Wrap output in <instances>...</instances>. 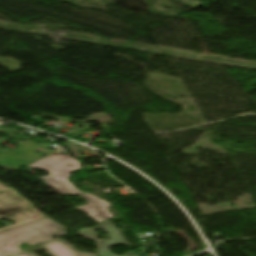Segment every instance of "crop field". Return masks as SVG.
<instances>
[{
    "label": "crop field",
    "instance_id": "f4fd0767",
    "mask_svg": "<svg viewBox=\"0 0 256 256\" xmlns=\"http://www.w3.org/2000/svg\"><path fill=\"white\" fill-rule=\"evenodd\" d=\"M32 207L15 190L0 194V218Z\"/></svg>",
    "mask_w": 256,
    "mask_h": 256
},
{
    "label": "crop field",
    "instance_id": "34b2d1b8",
    "mask_svg": "<svg viewBox=\"0 0 256 256\" xmlns=\"http://www.w3.org/2000/svg\"><path fill=\"white\" fill-rule=\"evenodd\" d=\"M99 226L100 227H98V228H102L104 231H106L108 233V237L110 238L111 241L108 240L109 242H104V241L97 240L95 238L97 235L93 232V230L98 229V228L82 229V230L78 231V233L82 236H85V237L95 241L97 243V247H98L97 253H99L101 256H116L108 250L109 247L114 244L127 245L128 243L121 236V234L116 230V228L111 224L110 221H105L103 223H100ZM124 256H137V255L129 252Z\"/></svg>",
    "mask_w": 256,
    "mask_h": 256
},
{
    "label": "crop field",
    "instance_id": "d8731c3e",
    "mask_svg": "<svg viewBox=\"0 0 256 256\" xmlns=\"http://www.w3.org/2000/svg\"><path fill=\"white\" fill-rule=\"evenodd\" d=\"M7 190H11V189L0 183V192L7 191Z\"/></svg>",
    "mask_w": 256,
    "mask_h": 256
},
{
    "label": "crop field",
    "instance_id": "412701ff",
    "mask_svg": "<svg viewBox=\"0 0 256 256\" xmlns=\"http://www.w3.org/2000/svg\"><path fill=\"white\" fill-rule=\"evenodd\" d=\"M79 196L90 204L87 206L77 207V209L81 210L87 216L98 223L112 218L111 214L107 210V208L110 207L109 202L86 193Z\"/></svg>",
    "mask_w": 256,
    "mask_h": 256
},
{
    "label": "crop field",
    "instance_id": "e52e79f7",
    "mask_svg": "<svg viewBox=\"0 0 256 256\" xmlns=\"http://www.w3.org/2000/svg\"><path fill=\"white\" fill-rule=\"evenodd\" d=\"M41 217H44V215L39 213L35 208L23 211L21 213H18L16 215L6 218L7 220L12 221L16 224L0 228V231L9 227L17 226V225L41 218Z\"/></svg>",
    "mask_w": 256,
    "mask_h": 256
},
{
    "label": "crop field",
    "instance_id": "dd49c442",
    "mask_svg": "<svg viewBox=\"0 0 256 256\" xmlns=\"http://www.w3.org/2000/svg\"><path fill=\"white\" fill-rule=\"evenodd\" d=\"M46 249V253L51 256H96L95 254L89 253H81L71 247L68 243L64 240H53L41 245ZM11 256H36L35 254L31 253L28 254L24 251L19 253L13 254Z\"/></svg>",
    "mask_w": 256,
    "mask_h": 256
},
{
    "label": "crop field",
    "instance_id": "8a807250",
    "mask_svg": "<svg viewBox=\"0 0 256 256\" xmlns=\"http://www.w3.org/2000/svg\"><path fill=\"white\" fill-rule=\"evenodd\" d=\"M63 227L45 218L20 227L0 232V256L21 251L19 245L35 246L50 241L53 236L66 235Z\"/></svg>",
    "mask_w": 256,
    "mask_h": 256
},
{
    "label": "crop field",
    "instance_id": "ac0d7876",
    "mask_svg": "<svg viewBox=\"0 0 256 256\" xmlns=\"http://www.w3.org/2000/svg\"><path fill=\"white\" fill-rule=\"evenodd\" d=\"M29 167L38 168L50 173V176L43 178L35 176L33 177L44 181L46 184H48L61 195H79L82 193L68 182V176L72 172L81 169V166L78 161L66 164L61 159L52 156L43 159ZM58 176H62L63 178H60ZM46 179H48L49 181L46 182Z\"/></svg>",
    "mask_w": 256,
    "mask_h": 256
}]
</instances>
